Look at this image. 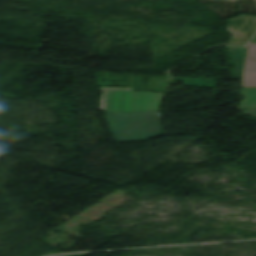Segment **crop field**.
Instances as JSON below:
<instances>
[{
  "label": "crop field",
  "instance_id": "1",
  "mask_svg": "<svg viewBox=\"0 0 256 256\" xmlns=\"http://www.w3.org/2000/svg\"><path fill=\"white\" fill-rule=\"evenodd\" d=\"M105 116L117 142L148 140L165 134L159 111L105 113Z\"/></svg>",
  "mask_w": 256,
  "mask_h": 256
},
{
  "label": "crop field",
  "instance_id": "2",
  "mask_svg": "<svg viewBox=\"0 0 256 256\" xmlns=\"http://www.w3.org/2000/svg\"><path fill=\"white\" fill-rule=\"evenodd\" d=\"M100 110L136 112L159 110L164 93L134 92L132 88L100 87ZM116 92V93H113Z\"/></svg>",
  "mask_w": 256,
  "mask_h": 256
},
{
  "label": "crop field",
  "instance_id": "3",
  "mask_svg": "<svg viewBox=\"0 0 256 256\" xmlns=\"http://www.w3.org/2000/svg\"><path fill=\"white\" fill-rule=\"evenodd\" d=\"M227 30L233 36L229 40L232 45H244L249 37L256 31V16L241 15L227 22Z\"/></svg>",
  "mask_w": 256,
  "mask_h": 256
},
{
  "label": "crop field",
  "instance_id": "4",
  "mask_svg": "<svg viewBox=\"0 0 256 256\" xmlns=\"http://www.w3.org/2000/svg\"><path fill=\"white\" fill-rule=\"evenodd\" d=\"M242 87H256V44L250 43Z\"/></svg>",
  "mask_w": 256,
  "mask_h": 256
},
{
  "label": "crop field",
  "instance_id": "5",
  "mask_svg": "<svg viewBox=\"0 0 256 256\" xmlns=\"http://www.w3.org/2000/svg\"><path fill=\"white\" fill-rule=\"evenodd\" d=\"M226 48L236 68V70L232 71L230 75L234 78L241 79L246 48L234 46H226Z\"/></svg>",
  "mask_w": 256,
  "mask_h": 256
},
{
  "label": "crop field",
  "instance_id": "6",
  "mask_svg": "<svg viewBox=\"0 0 256 256\" xmlns=\"http://www.w3.org/2000/svg\"><path fill=\"white\" fill-rule=\"evenodd\" d=\"M244 99L240 105L241 109L249 110L256 108V89H242Z\"/></svg>",
  "mask_w": 256,
  "mask_h": 256
},
{
  "label": "crop field",
  "instance_id": "7",
  "mask_svg": "<svg viewBox=\"0 0 256 256\" xmlns=\"http://www.w3.org/2000/svg\"><path fill=\"white\" fill-rule=\"evenodd\" d=\"M172 80H181L185 86L215 88L217 80L187 79L172 77Z\"/></svg>",
  "mask_w": 256,
  "mask_h": 256
},
{
  "label": "crop field",
  "instance_id": "8",
  "mask_svg": "<svg viewBox=\"0 0 256 256\" xmlns=\"http://www.w3.org/2000/svg\"><path fill=\"white\" fill-rule=\"evenodd\" d=\"M247 112H251V113L256 114V109H254V110H249V111H247Z\"/></svg>",
  "mask_w": 256,
  "mask_h": 256
},
{
  "label": "crop field",
  "instance_id": "9",
  "mask_svg": "<svg viewBox=\"0 0 256 256\" xmlns=\"http://www.w3.org/2000/svg\"><path fill=\"white\" fill-rule=\"evenodd\" d=\"M251 42L256 43V35H255L254 38L251 40Z\"/></svg>",
  "mask_w": 256,
  "mask_h": 256
}]
</instances>
